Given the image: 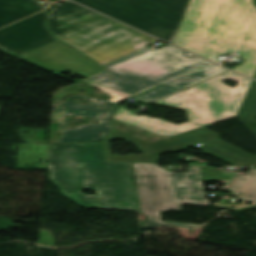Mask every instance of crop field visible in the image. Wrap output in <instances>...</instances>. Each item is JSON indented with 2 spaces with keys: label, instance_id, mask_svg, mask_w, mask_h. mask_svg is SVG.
Masks as SVG:
<instances>
[{
  "label": "crop field",
  "instance_id": "crop-field-6",
  "mask_svg": "<svg viewBox=\"0 0 256 256\" xmlns=\"http://www.w3.org/2000/svg\"><path fill=\"white\" fill-rule=\"evenodd\" d=\"M140 211L147 216L143 228L161 225L194 227L196 225L162 221L160 212L181 209V203L208 206L201 180L228 181L233 175L221 174L222 168L189 166L186 173L167 172L158 164L132 163Z\"/></svg>",
  "mask_w": 256,
  "mask_h": 256
},
{
  "label": "crop field",
  "instance_id": "crop-field-8",
  "mask_svg": "<svg viewBox=\"0 0 256 256\" xmlns=\"http://www.w3.org/2000/svg\"><path fill=\"white\" fill-rule=\"evenodd\" d=\"M118 136L137 145L144 155H129L127 157L111 156L108 140ZM219 135L205 129L198 128L170 138L148 143L120 130L115 131L104 140L108 160L157 163L158 153L184 149L183 145L200 142L204 144L200 149L232 164L240 166L256 165V156H251L219 139Z\"/></svg>",
  "mask_w": 256,
  "mask_h": 256
},
{
  "label": "crop field",
  "instance_id": "crop-field-14",
  "mask_svg": "<svg viewBox=\"0 0 256 256\" xmlns=\"http://www.w3.org/2000/svg\"><path fill=\"white\" fill-rule=\"evenodd\" d=\"M239 111L256 115V81L255 80L252 81L250 88L246 94V97Z\"/></svg>",
  "mask_w": 256,
  "mask_h": 256
},
{
  "label": "crop field",
  "instance_id": "crop-field-15",
  "mask_svg": "<svg viewBox=\"0 0 256 256\" xmlns=\"http://www.w3.org/2000/svg\"><path fill=\"white\" fill-rule=\"evenodd\" d=\"M190 1H191V0H190ZM190 1H189L188 5H187V8H186V10H185V13H184V15H183V17H182V20H181V22H180V25H179V27H178V29H177V32H176V34H175V37H174V39H173V41H172V44H173L174 41H175V38H176V36H177V33H178V31H179V28H180V26H181V23H182V21H183V18H184L185 14H186V11H187V9H188V6H189V4H190ZM252 4H253V6L256 8V0H253V1H252Z\"/></svg>",
  "mask_w": 256,
  "mask_h": 256
},
{
  "label": "crop field",
  "instance_id": "crop-field-12",
  "mask_svg": "<svg viewBox=\"0 0 256 256\" xmlns=\"http://www.w3.org/2000/svg\"><path fill=\"white\" fill-rule=\"evenodd\" d=\"M35 147V148H34ZM48 145L19 144L17 155V169H46ZM38 153V155H35ZM40 160H43L40 165ZM36 163V165H34Z\"/></svg>",
  "mask_w": 256,
  "mask_h": 256
},
{
  "label": "crop field",
  "instance_id": "crop-field-11",
  "mask_svg": "<svg viewBox=\"0 0 256 256\" xmlns=\"http://www.w3.org/2000/svg\"><path fill=\"white\" fill-rule=\"evenodd\" d=\"M40 0H0V27L45 8Z\"/></svg>",
  "mask_w": 256,
  "mask_h": 256
},
{
  "label": "crop field",
  "instance_id": "crop-field-16",
  "mask_svg": "<svg viewBox=\"0 0 256 256\" xmlns=\"http://www.w3.org/2000/svg\"><path fill=\"white\" fill-rule=\"evenodd\" d=\"M111 94V93H110ZM113 95V94H112ZM115 96V95H114ZM116 97H118V96H116ZM122 98H120V97H118V98H116V99H114V100H112V101H116V102H118V101H120Z\"/></svg>",
  "mask_w": 256,
  "mask_h": 256
},
{
  "label": "crop field",
  "instance_id": "crop-field-10",
  "mask_svg": "<svg viewBox=\"0 0 256 256\" xmlns=\"http://www.w3.org/2000/svg\"><path fill=\"white\" fill-rule=\"evenodd\" d=\"M47 11H42L0 30V50L20 59L24 54L55 40L46 28Z\"/></svg>",
  "mask_w": 256,
  "mask_h": 256
},
{
  "label": "crop field",
  "instance_id": "crop-field-1",
  "mask_svg": "<svg viewBox=\"0 0 256 256\" xmlns=\"http://www.w3.org/2000/svg\"><path fill=\"white\" fill-rule=\"evenodd\" d=\"M186 52L165 45L154 51L144 47L103 65L108 70L84 81L124 99L164 84L132 99L151 103L179 89L191 86L226 70L199 57L188 58ZM74 98L90 100L91 106L73 103ZM119 103L71 96L54 108L53 121L61 122L62 138L57 142L101 140L113 130L111 116ZM99 119L96 125H78L67 130V116Z\"/></svg>",
  "mask_w": 256,
  "mask_h": 256
},
{
  "label": "crop field",
  "instance_id": "crop-field-9",
  "mask_svg": "<svg viewBox=\"0 0 256 256\" xmlns=\"http://www.w3.org/2000/svg\"><path fill=\"white\" fill-rule=\"evenodd\" d=\"M21 60L56 76L68 71L88 78L105 71L59 40L22 56Z\"/></svg>",
  "mask_w": 256,
  "mask_h": 256
},
{
  "label": "crop field",
  "instance_id": "crop-field-3",
  "mask_svg": "<svg viewBox=\"0 0 256 256\" xmlns=\"http://www.w3.org/2000/svg\"><path fill=\"white\" fill-rule=\"evenodd\" d=\"M174 44L215 62L221 54L236 52L246 60L233 70L252 77L256 9L251 0H192Z\"/></svg>",
  "mask_w": 256,
  "mask_h": 256
},
{
  "label": "crop field",
  "instance_id": "crop-field-17",
  "mask_svg": "<svg viewBox=\"0 0 256 256\" xmlns=\"http://www.w3.org/2000/svg\"><path fill=\"white\" fill-rule=\"evenodd\" d=\"M254 78H256V73H255V75H254Z\"/></svg>",
  "mask_w": 256,
  "mask_h": 256
},
{
  "label": "crop field",
  "instance_id": "crop-field-4",
  "mask_svg": "<svg viewBox=\"0 0 256 256\" xmlns=\"http://www.w3.org/2000/svg\"><path fill=\"white\" fill-rule=\"evenodd\" d=\"M230 79L239 82L236 88L222 84ZM251 79L243 78L231 71L203 83L164 98L157 105L170 106L187 111L189 122L181 125L162 121L158 118L136 116L132 111L119 107L114 119L160 134H178L194 128L235 117L245 97Z\"/></svg>",
  "mask_w": 256,
  "mask_h": 256
},
{
  "label": "crop field",
  "instance_id": "crop-field-2",
  "mask_svg": "<svg viewBox=\"0 0 256 256\" xmlns=\"http://www.w3.org/2000/svg\"><path fill=\"white\" fill-rule=\"evenodd\" d=\"M48 160L51 181L80 206L138 211L130 163L106 162L102 142L50 145Z\"/></svg>",
  "mask_w": 256,
  "mask_h": 256
},
{
  "label": "crop field",
  "instance_id": "crop-field-7",
  "mask_svg": "<svg viewBox=\"0 0 256 256\" xmlns=\"http://www.w3.org/2000/svg\"><path fill=\"white\" fill-rule=\"evenodd\" d=\"M171 43L189 0H74Z\"/></svg>",
  "mask_w": 256,
  "mask_h": 256
},
{
  "label": "crop field",
  "instance_id": "crop-field-13",
  "mask_svg": "<svg viewBox=\"0 0 256 256\" xmlns=\"http://www.w3.org/2000/svg\"><path fill=\"white\" fill-rule=\"evenodd\" d=\"M227 190L240 200L256 202V167L250 168L245 176L236 175Z\"/></svg>",
  "mask_w": 256,
  "mask_h": 256
},
{
  "label": "crop field",
  "instance_id": "crop-field-5",
  "mask_svg": "<svg viewBox=\"0 0 256 256\" xmlns=\"http://www.w3.org/2000/svg\"><path fill=\"white\" fill-rule=\"evenodd\" d=\"M47 27L101 65L159 41L69 1L52 6Z\"/></svg>",
  "mask_w": 256,
  "mask_h": 256
}]
</instances>
